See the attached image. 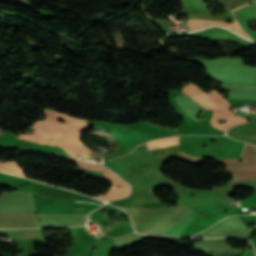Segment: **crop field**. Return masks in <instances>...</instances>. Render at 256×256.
<instances>
[{"label":"crop field","instance_id":"crop-field-1","mask_svg":"<svg viewBox=\"0 0 256 256\" xmlns=\"http://www.w3.org/2000/svg\"><path fill=\"white\" fill-rule=\"evenodd\" d=\"M45 109V108H44ZM45 111L47 112L46 114V118L55 121L54 119L56 117H59L63 120H65V122L63 124L66 125H70L73 127H76L78 129H82V130H86L88 128H90L85 120L82 119H76V118H70L66 115L57 113L55 111H51V110H47L45 109ZM50 120H41V121H37L36 123H33L32 128H36L42 131H46L49 133H53V134H57L59 136H63L65 138H67L68 140H78L80 134L83 132L82 130H78L76 128L70 127V126H66V125H62L60 123H56ZM36 133L45 135V136H51L59 141H61L62 143H64L65 145H67L70 149H72L75 153H77L78 155H81L82 157L86 158V155L90 153V151H88L87 149H85L78 141H68L65 138L59 137L57 135H53V134H49V133H45L39 130H36ZM42 135H38V134H32V135H23L21 134V139H25L28 141H32V142H36V143H41V144H50L51 146L53 145H58L61 148H63L67 153H69L72 157H77L78 155H76L72 150H70L67 146H65L64 144H62L61 142L51 138V137H45Z\"/></svg>","mask_w":256,"mask_h":256},{"label":"crop field","instance_id":"crop-field-2","mask_svg":"<svg viewBox=\"0 0 256 256\" xmlns=\"http://www.w3.org/2000/svg\"><path fill=\"white\" fill-rule=\"evenodd\" d=\"M183 92L194 99L197 103H199L205 109H213L219 110L227 113L233 114L229 108L232 107L227 101H225L222 96L216 91L213 90L211 93H207L210 97H212L217 103H219L224 110L221 108L219 104H217L212 98H210L206 93L201 91L194 84L187 85L184 87ZM180 95L175 97L181 109L193 119L196 118L198 110L204 109L187 95ZM229 98H247V99H256V90L251 89H237L230 88V97Z\"/></svg>","mask_w":256,"mask_h":256},{"label":"crop field","instance_id":"crop-field-3","mask_svg":"<svg viewBox=\"0 0 256 256\" xmlns=\"http://www.w3.org/2000/svg\"><path fill=\"white\" fill-rule=\"evenodd\" d=\"M56 158H64L67 159L69 161L75 162L79 165H81L82 160L80 159H72V158H68V157H61V156H55V155H50ZM82 168H87V169H91V170H97V171H102L104 166L102 165H91L90 163H87L86 161H83ZM106 173H104V176L106 179H108L110 182L113 183L114 187L110 189V192L107 193L106 195H97L94 196L95 198H99L102 200H112V199H117V198H121V197H125L128 195V193L130 192L129 186L121 179L119 178L117 175H115L114 173H112L111 171L104 169ZM116 185H119L120 188H117Z\"/></svg>","mask_w":256,"mask_h":256},{"label":"crop field","instance_id":"crop-field-4","mask_svg":"<svg viewBox=\"0 0 256 256\" xmlns=\"http://www.w3.org/2000/svg\"><path fill=\"white\" fill-rule=\"evenodd\" d=\"M134 175H135V177L137 178V180L140 183L142 194H143V198H144L145 202L149 203L150 200H151V202L158 201V198L154 195V191L152 189L151 181L148 178V176L145 174V172L139 173V175L143 179V181L145 182L147 193H148V196H149L150 200H149V198L147 196L144 182L142 181V179L139 177L138 174H134ZM134 175L128 179L134 185V190H133V195H132V199H131L130 205L143 204L145 202H144V200L142 198V194H141L139 183L136 180V178L134 177Z\"/></svg>","mask_w":256,"mask_h":256},{"label":"crop field","instance_id":"crop-field-5","mask_svg":"<svg viewBox=\"0 0 256 256\" xmlns=\"http://www.w3.org/2000/svg\"><path fill=\"white\" fill-rule=\"evenodd\" d=\"M209 25H221V26H225L233 31H235L236 33L250 39L248 37V35H246L240 28L239 24L234 21V23L232 24H227L225 22H217V21H197V20H188V26L193 30H198L201 29L203 27L209 26Z\"/></svg>","mask_w":256,"mask_h":256},{"label":"crop field","instance_id":"crop-field-6","mask_svg":"<svg viewBox=\"0 0 256 256\" xmlns=\"http://www.w3.org/2000/svg\"><path fill=\"white\" fill-rule=\"evenodd\" d=\"M221 118L223 120H228V121L226 123H224L223 125H221L217 121ZM248 120H250V119L249 118H240V117H236V116H230V115H227V114H222L220 112L214 111V113L212 114V117H211V124L213 125V127L225 131L233 125H236V124H239L241 122L248 121Z\"/></svg>","mask_w":256,"mask_h":256},{"label":"crop field","instance_id":"crop-field-7","mask_svg":"<svg viewBox=\"0 0 256 256\" xmlns=\"http://www.w3.org/2000/svg\"><path fill=\"white\" fill-rule=\"evenodd\" d=\"M246 5H248V4H246ZM246 5H243V6H246ZM243 6H241V7H243ZM233 14L235 15L237 21L240 23L241 27L252 37V39L256 40V32L249 30L247 28L248 24L245 21V20L253 18L251 4L246 7H243V8L233 11Z\"/></svg>","mask_w":256,"mask_h":256},{"label":"crop field","instance_id":"crop-field-8","mask_svg":"<svg viewBox=\"0 0 256 256\" xmlns=\"http://www.w3.org/2000/svg\"><path fill=\"white\" fill-rule=\"evenodd\" d=\"M16 163H17V161L3 162V163L0 162V170L26 177L23 170H21L16 165Z\"/></svg>","mask_w":256,"mask_h":256},{"label":"crop field","instance_id":"crop-field-9","mask_svg":"<svg viewBox=\"0 0 256 256\" xmlns=\"http://www.w3.org/2000/svg\"><path fill=\"white\" fill-rule=\"evenodd\" d=\"M174 139H178V136L177 137H168V138L157 139L155 141L147 142V145L155 144V143H159V142H163V141H167V140H174ZM175 144H178V140L168 141V142L155 144V145H150L148 147H149L150 150H152V149H157V148H161V147H165V146H169V145H175Z\"/></svg>","mask_w":256,"mask_h":256},{"label":"crop field","instance_id":"crop-field-10","mask_svg":"<svg viewBox=\"0 0 256 256\" xmlns=\"http://www.w3.org/2000/svg\"><path fill=\"white\" fill-rule=\"evenodd\" d=\"M145 172L152 181L153 189L154 190L157 189L158 174L156 173V171L155 170H147Z\"/></svg>","mask_w":256,"mask_h":256},{"label":"crop field","instance_id":"crop-field-11","mask_svg":"<svg viewBox=\"0 0 256 256\" xmlns=\"http://www.w3.org/2000/svg\"><path fill=\"white\" fill-rule=\"evenodd\" d=\"M203 241H212V239H204Z\"/></svg>","mask_w":256,"mask_h":256},{"label":"crop field","instance_id":"crop-field-12","mask_svg":"<svg viewBox=\"0 0 256 256\" xmlns=\"http://www.w3.org/2000/svg\"><path fill=\"white\" fill-rule=\"evenodd\" d=\"M87 217H88V215H86L84 223H86V221H87Z\"/></svg>","mask_w":256,"mask_h":256}]
</instances>
